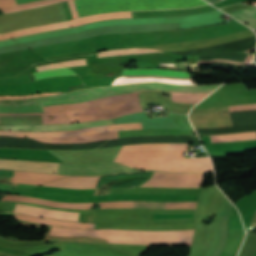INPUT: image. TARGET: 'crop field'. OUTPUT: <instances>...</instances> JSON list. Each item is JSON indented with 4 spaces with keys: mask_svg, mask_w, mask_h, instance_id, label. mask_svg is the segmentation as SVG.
<instances>
[{
    "mask_svg": "<svg viewBox=\"0 0 256 256\" xmlns=\"http://www.w3.org/2000/svg\"><path fill=\"white\" fill-rule=\"evenodd\" d=\"M219 85L212 86H184V85H169L158 82L142 83L124 86H110L91 88L86 90L73 91L63 95L48 96L36 98L37 104L42 103V106L55 104H70L82 103L94 99H99L111 95L126 94L140 90L157 89L179 92H210ZM209 93H178L172 92V100L175 102L197 103ZM136 93L111 96L95 101H90L82 104L56 105L43 108L44 112L79 109L99 106L106 118L118 117L124 114L140 111L141 108L136 100Z\"/></svg>",
    "mask_w": 256,
    "mask_h": 256,
    "instance_id": "8a807250",
    "label": "crop field"
},
{
    "mask_svg": "<svg viewBox=\"0 0 256 256\" xmlns=\"http://www.w3.org/2000/svg\"><path fill=\"white\" fill-rule=\"evenodd\" d=\"M50 234L93 236L119 244L191 245L193 230L188 231H129V230H77L53 227Z\"/></svg>",
    "mask_w": 256,
    "mask_h": 256,
    "instance_id": "ac0d7876",
    "label": "crop field"
},
{
    "mask_svg": "<svg viewBox=\"0 0 256 256\" xmlns=\"http://www.w3.org/2000/svg\"><path fill=\"white\" fill-rule=\"evenodd\" d=\"M80 17L124 10H153L207 4L203 0H74Z\"/></svg>",
    "mask_w": 256,
    "mask_h": 256,
    "instance_id": "34b2d1b8",
    "label": "crop field"
},
{
    "mask_svg": "<svg viewBox=\"0 0 256 256\" xmlns=\"http://www.w3.org/2000/svg\"><path fill=\"white\" fill-rule=\"evenodd\" d=\"M115 162L138 169L160 171H212L209 158H115Z\"/></svg>",
    "mask_w": 256,
    "mask_h": 256,
    "instance_id": "412701ff",
    "label": "crop field"
},
{
    "mask_svg": "<svg viewBox=\"0 0 256 256\" xmlns=\"http://www.w3.org/2000/svg\"><path fill=\"white\" fill-rule=\"evenodd\" d=\"M141 171L127 168L115 162H102L92 164H62L59 174L69 175H106L117 174L120 172Z\"/></svg>",
    "mask_w": 256,
    "mask_h": 256,
    "instance_id": "f4fd0767",
    "label": "crop field"
},
{
    "mask_svg": "<svg viewBox=\"0 0 256 256\" xmlns=\"http://www.w3.org/2000/svg\"><path fill=\"white\" fill-rule=\"evenodd\" d=\"M203 173H158L141 186L199 187Z\"/></svg>",
    "mask_w": 256,
    "mask_h": 256,
    "instance_id": "dd49c442",
    "label": "crop field"
},
{
    "mask_svg": "<svg viewBox=\"0 0 256 256\" xmlns=\"http://www.w3.org/2000/svg\"><path fill=\"white\" fill-rule=\"evenodd\" d=\"M120 18H131L129 12H121V13H108V14H100V15H94V16H88V17H83L79 18L73 21H66L62 23H57V24H51V25H46V26H40V27H34L30 28L27 30H22V31H16V32H11V33H6L2 34L5 36H8L10 38L18 37V36H24V35H30L38 32H43V31H49V30H54L58 28H66V27H72L88 22H93V21H101V20H108V19H120Z\"/></svg>",
    "mask_w": 256,
    "mask_h": 256,
    "instance_id": "e52e79f7",
    "label": "crop field"
},
{
    "mask_svg": "<svg viewBox=\"0 0 256 256\" xmlns=\"http://www.w3.org/2000/svg\"><path fill=\"white\" fill-rule=\"evenodd\" d=\"M0 168L43 173H56L57 163L0 160Z\"/></svg>",
    "mask_w": 256,
    "mask_h": 256,
    "instance_id": "d8731c3e",
    "label": "crop field"
},
{
    "mask_svg": "<svg viewBox=\"0 0 256 256\" xmlns=\"http://www.w3.org/2000/svg\"><path fill=\"white\" fill-rule=\"evenodd\" d=\"M13 212L28 214V215L38 216V217L65 219L69 221H78V217H79V213L56 211V210L37 208V207H31V206H25V205H19V204L15 205Z\"/></svg>",
    "mask_w": 256,
    "mask_h": 256,
    "instance_id": "5a996713",
    "label": "crop field"
},
{
    "mask_svg": "<svg viewBox=\"0 0 256 256\" xmlns=\"http://www.w3.org/2000/svg\"><path fill=\"white\" fill-rule=\"evenodd\" d=\"M153 118V117H151ZM118 138V131L111 133H103L88 136H75V137H56V138H33L42 142H53V143H83L89 141H97L104 139H115Z\"/></svg>",
    "mask_w": 256,
    "mask_h": 256,
    "instance_id": "3316defc",
    "label": "crop field"
},
{
    "mask_svg": "<svg viewBox=\"0 0 256 256\" xmlns=\"http://www.w3.org/2000/svg\"><path fill=\"white\" fill-rule=\"evenodd\" d=\"M148 81H161L177 84H194L191 78H172L163 76H122L117 78L114 84L122 83H135V82H148Z\"/></svg>",
    "mask_w": 256,
    "mask_h": 256,
    "instance_id": "28ad6ade",
    "label": "crop field"
},
{
    "mask_svg": "<svg viewBox=\"0 0 256 256\" xmlns=\"http://www.w3.org/2000/svg\"><path fill=\"white\" fill-rule=\"evenodd\" d=\"M99 177H69L63 180H59L47 186L66 187L74 189H89L95 188Z\"/></svg>",
    "mask_w": 256,
    "mask_h": 256,
    "instance_id": "d1516ede",
    "label": "crop field"
},
{
    "mask_svg": "<svg viewBox=\"0 0 256 256\" xmlns=\"http://www.w3.org/2000/svg\"><path fill=\"white\" fill-rule=\"evenodd\" d=\"M66 113L71 123L80 121L100 120L105 118L99 107L81 110H69L66 111Z\"/></svg>",
    "mask_w": 256,
    "mask_h": 256,
    "instance_id": "22f410ed",
    "label": "crop field"
},
{
    "mask_svg": "<svg viewBox=\"0 0 256 256\" xmlns=\"http://www.w3.org/2000/svg\"><path fill=\"white\" fill-rule=\"evenodd\" d=\"M3 200H20L38 204L49 205L52 207H70V208H82V209H89L92 203H58L46 200H40L35 198H29L24 196H5Z\"/></svg>",
    "mask_w": 256,
    "mask_h": 256,
    "instance_id": "cbeb9de0",
    "label": "crop field"
},
{
    "mask_svg": "<svg viewBox=\"0 0 256 256\" xmlns=\"http://www.w3.org/2000/svg\"><path fill=\"white\" fill-rule=\"evenodd\" d=\"M123 75H164L172 77H190L189 72L161 70V69H132L124 70Z\"/></svg>",
    "mask_w": 256,
    "mask_h": 256,
    "instance_id": "5142ce71",
    "label": "crop field"
},
{
    "mask_svg": "<svg viewBox=\"0 0 256 256\" xmlns=\"http://www.w3.org/2000/svg\"><path fill=\"white\" fill-rule=\"evenodd\" d=\"M104 207H132L133 201H113L99 203ZM196 202H167L166 208H195Z\"/></svg>",
    "mask_w": 256,
    "mask_h": 256,
    "instance_id": "d9b57169",
    "label": "crop field"
},
{
    "mask_svg": "<svg viewBox=\"0 0 256 256\" xmlns=\"http://www.w3.org/2000/svg\"><path fill=\"white\" fill-rule=\"evenodd\" d=\"M13 217L20 218L22 220H28L31 222H36V223H49V224L69 226V227H78V228H95V224L71 223V222H64V221L51 220V219H40V218H36V217L17 215V214H14Z\"/></svg>",
    "mask_w": 256,
    "mask_h": 256,
    "instance_id": "733c2abd",
    "label": "crop field"
},
{
    "mask_svg": "<svg viewBox=\"0 0 256 256\" xmlns=\"http://www.w3.org/2000/svg\"><path fill=\"white\" fill-rule=\"evenodd\" d=\"M57 0H43V1H38V2H33V3H28V4H23V5H17V6H9V7H2L1 9L4 11V12H7V11H13V10H19V9H24V8H29V7H34V6H39V5H43V4H47V3H51V2H55ZM61 1H66V0H60L58 2H61ZM68 2V5L70 7V10H71V13L73 15V18H78V14L76 12V8H75V4H74V1L71 0V1H67ZM56 3V2H55ZM52 4V3H51ZM48 5V4H47ZM30 9V8H29ZM25 10V9H24ZM20 11V10H19ZM13 12H16V11H13ZM8 13H12V12H7L5 14H8Z\"/></svg>",
    "mask_w": 256,
    "mask_h": 256,
    "instance_id": "4a817a6b",
    "label": "crop field"
},
{
    "mask_svg": "<svg viewBox=\"0 0 256 256\" xmlns=\"http://www.w3.org/2000/svg\"><path fill=\"white\" fill-rule=\"evenodd\" d=\"M107 124H112V119L96 121V122H84V123H78V124H73V125H50L49 131L76 130V129H81L84 127L102 126V125H107Z\"/></svg>",
    "mask_w": 256,
    "mask_h": 256,
    "instance_id": "bc2a9ffb",
    "label": "crop field"
},
{
    "mask_svg": "<svg viewBox=\"0 0 256 256\" xmlns=\"http://www.w3.org/2000/svg\"><path fill=\"white\" fill-rule=\"evenodd\" d=\"M229 14H231L234 17L237 16L239 21L243 23H247L252 28H256V9L255 8L239 10Z\"/></svg>",
    "mask_w": 256,
    "mask_h": 256,
    "instance_id": "214f88e0",
    "label": "crop field"
},
{
    "mask_svg": "<svg viewBox=\"0 0 256 256\" xmlns=\"http://www.w3.org/2000/svg\"><path fill=\"white\" fill-rule=\"evenodd\" d=\"M249 139H256V132L210 136L211 143Z\"/></svg>",
    "mask_w": 256,
    "mask_h": 256,
    "instance_id": "92a150f3",
    "label": "crop field"
},
{
    "mask_svg": "<svg viewBox=\"0 0 256 256\" xmlns=\"http://www.w3.org/2000/svg\"><path fill=\"white\" fill-rule=\"evenodd\" d=\"M28 75L30 77V80L33 81V80H37L44 77H50V76L77 75V74H75L74 71L69 68H63V69H54V70L37 72V73H31Z\"/></svg>",
    "mask_w": 256,
    "mask_h": 256,
    "instance_id": "dafd665d",
    "label": "crop field"
},
{
    "mask_svg": "<svg viewBox=\"0 0 256 256\" xmlns=\"http://www.w3.org/2000/svg\"><path fill=\"white\" fill-rule=\"evenodd\" d=\"M43 124L70 123L65 111L42 113Z\"/></svg>",
    "mask_w": 256,
    "mask_h": 256,
    "instance_id": "00972430",
    "label": "crop field"
},
{
    "mask_svg": "<svg viewBox=\"0 0 256 256\" xmlns=\"http://www.w3.org/2000/svg\"><path fill=\"white\" fill-rule=\"evenodd\" d=\"M148 52H160V51L150 50V49L133 48V49H122V50L104 51V52L98 53L97 56L98 57H105V56H113V55L148 53Z\"/></svg>",
    "mask_w": 256,
    "mask_h": 256,
    "instance_id": "a9b5d70f",
    "label": "crop field"
},
{
    "mask_svg": "<svg viewBox=\"0 0 256 256\" xmlns=\"http://www.w3.org/2000/svg\"><path fill=\"white\" fill-rule=\"evenodd\" d=\"M48 126H6L0 125V130H12V131H48Z\"/></svg>",
    "mask_w": 256,
    "mask_h": 256,
    "instance_id": "4177f3b9",
    "label": "crop field"
},
{
    "mask_svg": "<svg viewBox=\"0 0 256 256\" xmlns=\"http://www.w3.org/2000/svg\"><path fill=\"white\" fill-rule=\"evenodd\" d=\"M27 104H35L34 98H31V99L0 100V105H27Z\"/></svg>",
    "mask_w": 256,
    "mask_h": 256,
    "instance_id": "730fd06b",
    "label": "crop field"
},
{
    "mask_svg": "<svg viewBox=\"0 0 256 256\" xmlns=\"http://www.w3.org/2000/svg\"><path fill=\"white\" fill-rule=\"evenodd\" d=\"M61 64L69 67V66H79V65H87L85 59L80 60H72V61H66V62H60Z\"/></svg>",
    "mask_w": 256,
    "mask_h": 256,
    "instance_id": "eef30255",
    "label": "crop field"
},
{
    "mask_svg": "<svg viewBox=\"0 0 256 256\" xmlns=\"http://www.w3.org/2000/svg\"><path fill=\"white\" fill-rule=\"evenodd\" d=\"M229 109H230V111L256 109V105L230 106Z\"/></svg>",
    "mask_w": 256,
    "mask_h": 256,
    "instance_id": "ae1a2a85",
    "label": "crop field"
},
{
    "mask_svg": "<svg viewBox=\"0 0 256 256\" xmlns=\"http://www.w3.org/2000/svg\"><path fill=\"white\" fill-rule=\"evenodd\" d=\"M62 67H64V66H62L58 63H54V64H50V65L35 67V72L36 71H41V70L54 69V68H62Z\"/></svg>",
    "mask_w": 256,
    "mask_h": 256,
    "instance_id": "d3111659",
    "label": "crop field"
},
{
    "mask_svg": "<svg viewBox=\"0 0 256 256\" xmlns=\"http://www.w3.org/2000/svg\"><path fill=\"white\" fill-rule=\"evenodd\" d=\"M252 57H253L252 55L248 54V55H247V59L244 60L243 63H239V62H233V63H238V64L247 65V64L251 61ZM214 61L232 62V61H226V60H213V61H211V62H214ZM199 62H208V63H211L210 61H199Z\"/></svg>",
    "mask_w": 256,
    "mask_h": 256,
    "instance_id": "750c4746",
    "label": "crop field"
},
{
    "mask_svg": "<svg viewBox=\"0 0 256 256\" xmlns=\"http://www.w3.org/2000/svg\"><path fill=\"white\" fill-rule=\"evenodd\" d=\"M255 226H256V213H255V215H254V217H253V220H252V222H251V224H250L249 227L253 228V227H255Z\"/></svg>",
    "mask_w": 256,
    "mask_h": 256,
    "instance_id": "bd1437ed",
    "label": "crop field"
},
{
    "mask_svg": "<svg viewBox=\"0 0 256 256\" xmlns=\"http://www.w3.org/2000/svg\"><path fill=\"white\" fill-rule=\"evenodd\" d=\"M255 48V47H254ZM254 48H252V49H254ZM252 49H249V50H252ZM249 50H247L246 52H248Z\"/></svg>",
    "mask_w": 256,
    "mask_h": 256,
    "instance_id": "1d83c4d3",
    "label": "crop field"
},
{
    "mask_svg": "<svg viewBox=\"0 0 256 256\" xmlns=\"http://www.w3.org/2000/svg\"><path fill=\"white\" fill-rule=\"evenodd\" d=\"M4 39H5V38H1V37H0V40H4Z\"/></svg>",
    "mask_w": 256,
    "mask_h": 256,
    "instance_id": "120bbe31",
    "label": "crop field"
}]
</instances>
